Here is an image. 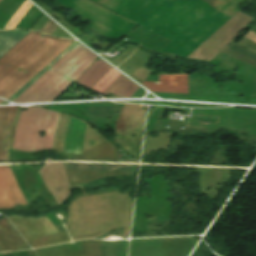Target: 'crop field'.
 <instances>
[{
    "label": "crop field",
    "instance_id": "7",
    "mask_svg": "<svg viewBox=\"0 0 256 256\" xmlns=\"http://www.w3.org/2000/svg\"><path fill=\"white\" fill-rule=\"evenodd\" d=\"M152 92L188 94L187 75H159V82H142Z\"/></svg>",
    "mask_w": 256,
    "mask_h": 256
},
{
    "label": "crop field",
    "instance_id": "4",
    "mask_svg": "<svg viewBox=\"0 0 256 256\" xmlns=\"http://www.w3.org/2000/svg\"><path fill=\"white\" fill-rule=\"evenodd\" d=\"M251 20L252 18L239 12L187 58L210 61L220 53Z\"/></svg>",
    "mask_w": 256,
    "mask_h": 256
},
{
    "label": "crop field",
    "instance_id": "2",
    "mask_svg": "<svg viewBox=\"0 0 256 256\" xmlns=\"http://www.w3.org/2000/svg\"><path fill=\"white\" fill-rule=\"evenodd\" d=\"M96 58L78 44L14 101L26 103L54 100Z\"/></svg>",
    "mask_w": 256,
    "mask_h": 256
},
{
    "label": "crop field",
    "instance_id": "5",
    "mask_svg": "<svg viewBox=\"0 0 256 256\" xmlns=\"http://www.w3.org/2000/svg\"><path fill=\"white\" fill-rule=\"evenodd\" d=\"M39 173L58 205L68 198L70 191L61 163H45Z\"/></svg>",
    "mask_w": 256,
    "mask_h": 256
},
{
    "label": "crop field",
    "instance_id": "12",
    "mask_svg": "<svg viewBox=\"0 0 256 256\" xmlns=\"http://www.w3.org/2000/svg\"><path fill=\"white\" fill-rule=\"evenodd\" d=\"M31 5L32 4L26 0V2L17 10V12L14 14V16L11 18V20L8 22L4 29L15 28V26L28 11Z\"/></svg>",
    "mask_w": 256,
    "mask_h": 256
},
{
    "label": "crop field",
    "instance_id": "6",
    "mask_svg": "<svg viewBox=\"0 0 256 256\" xmlns=\"http://www.w3.org/2000/svg\"><path fill=\"white\" fill-rule=\"evenodd\" d=\"M27 205L11 172L10 166H0V208Z\"/></svg>",
    "mask_w": 256,
    "mask_h": 256
},
{
    "label": "crop field",
    "instance_id": "13",
    "mask_svg": "<svg viewBox=\"0 0 256 256\" xmlns=\"http://www.w3.org/2000/svg\"><path fill=\"white\" fill-rule=\"evenodd\" d=\"M0 102H3V101H0Z\"/></svg>",
    "mask_w": 256,
    "mask_h": 256
},
{
    "label": "crop field",
    "instance_id": "10",
    "mask_svg": "<svg viewBox=\"0 0 256 256\" xmlns=\"http://www.w3.org/2000/svg\"><path fill=\"white\" fill-rule=\"evenodd\" d=\"M139 87L120 75L104 92L107 94L109 92L115 93L116 97H131Z\"/></svg>",
    "mask_w": 256,
    "mask_h": 256
},
{
    "label": "crop field",
    "instance_id": "11",
    "mask_svg": "<svg viewBox=\"0 0 256 256\" xmlns=\"http://www.w3.org/2000/svg\"><path fill=\"white\" fill-rule=\"evenodd\" d=\"M119 74L112 68L92 89L102 93Z\"/></svg>",
    "mask_w": 256,
    "mask_h": 256
},
{
    "label": "crop field",
    "instance_id": "8",
    "mask_svg": "<svg viewBox=\"0 0 256 256\" xmlns=\"http://www.w3.org/2000/svg\"><path fill=\"white\" fill-rule=\"evenodd\" d=\"M17 107L0 108V162L8 161V144Z\"/></svg>",
    "mask_w": 256,
    "mask_h": 256
},
{
    "label": "crop field",
    "instance_id": "3",
    "mask_svg": "<svg viewBox=\"0 0 256 256\" xmlns=\"http://www.w3.org/2000/svg\"><path fill=\"white\" fill-rule=\"evenodd\" d=\"M59 113L42 108H27L22 111L15 130L13 148L35 152L52 149L53 137ZM45 131L40 138L39 132Z\"/></svg>",
    "mask_w": 256,
    "mask_h": 256
},
{
    "label": "crop field",
    "instance_id": "9",
    "mask_svg": "<svg viewBox=\"0 0 256 256\" xmlns=\"http://www.w3.org/2000/svg\"><path fill=\"white\" fill-rule=\"evenodd\" d=\"M110 69L111 67L97 58L76 82L92 88Z\"/></svg>",
    "mask_w": 256,
    "mask_h": 256
},
{
    "label": "crop field",
    "instance_id": "1",
    "mask_svg": "<svg viewBox=\"0 0 256 256\" xmlns=\"http://www.w3.org/2000/svg\"><path fill=\"white\" fill-rule=\"evenodd\" d=\"M72 42L30 32L0 59V97L8 99Z\"/></svg>",
    "mask_w": 256,
    "mask_h": 256
}]
</instances>
